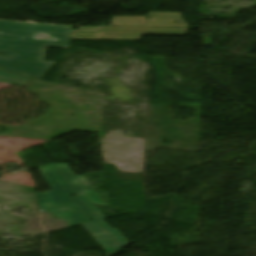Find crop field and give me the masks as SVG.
Returning a JSON list of instances; mask_svg holds the SVG:
<instances>
[{
  "mask_svg": "<svg viewBox=\"0 0 256 256\" xmlns=\"http://www.w3.org/2000/svg\"><path fill=\"white\" fill-rule=\"evenodd\" d=\"M110 26L188 27L181 13L166 12H150L148 17H113Z\"/></svg>",
  "mask_w": 256,
  "mask_h": 256,
  "instance_id": "obj_4",
  "label": "crop field"
},
{
  "mask_svg": "<svg viewBox=\"0 0 256 256\" xmlns=\"http://www.w3.org/2000/svg\"><path fill=\"white\" fill-rule=\"evenodd\" d=\"M28 80H29L28 77L10 75V74L0 72V82H3V83L24 87L25 84L28 82Z\"/></svg>",
  "mask_w": 256,
  "mask_h": 256,
  "instance_id": "obj_6",
  "label": "crop field"
},
{
  "mask_svg": "<svg viewBox=\"0 0 256 256\" xmlns=\"http://www.w3.org/2000/svg\"><path fill=\"white\" fill-rule=\"evenodd\" d=\"M71 39L140 40L141 35H186L187 28L79 27Z\"/></svg>",
  "mask_w": 256,
  "mask_h": 256,
  "instance_id": "obj_3",
  "label": "crop field"
},
{
  "mask_svg": "<svg viewBox=\"0 0 256 256\" xmlns=\"http://www.w3.org/2000/svg\"><path fill=\"white\" fill-rule=\"evenodd\" d=\"M35 32L56 41L35 40ZM72 28L0 22V70L41 78L54 62L44 61L46 47L67 48ZM36 33V34H37Z\"/></svg>",
  "mask_w": 256,
  "mask_h": 256,
  "instance_id": "obj_1",
  "label": "crop field"
},
{
  "mask_svg": "<svg viewBox=\"0 0 256 256\" xmlns=\"http://www.w3.org/2000/svg\"><path fill=\"white\" fill-rule=\"evenodd\" d=\"M35 38H36V39H46V40H52V39H49V38H47V37H44V36H42V35H39V34H36Z\"/></svg>",
  "mask_w": 256,
  "mask_h": 256,
  "instance_id": "obj_7",
  "label": "crop field"
},
{
  "mask_svg": "<svg viewBox=\"0 0 256 256\" xmlns=\"http://www.w3.org/2000/svg\"><path fill=\"white\" fill-rule=\"evenodd\" d=\"M75 191L77 196L72 197L79 206L93 220L105 217L93 203L105 204L94 189L78 192L77 190L88 189V184L83 175L75 176L67 164H56ZM39 170L46 178L53 190L38 194V202L41 209L52 212L58 218L67 220L71 226L90 222V219L68 198L74 195V191L60 174L54 164L40 167Z\"/></svg>",
  "mask_w": 256,
  "mask_h": 256,
  "instance_id": "obj_2",
  "label": "crop field"
},
{
  "mask_svg": "<svg viewBox=\"0 0 256 256\" xmlns=\"http://www.w3.org/2000/svg\"><path fill=\"white\" fill-rule=\"evenodd\" d=\"M96 222H99L121 246L119 247ZM83 226L109 255L128 243L117 230L111 229L103 220L83 224Z\"/></svg>",
  "mask_w": 256,
  "mask_h": 256,
  "instance_id": "obj_5",
  "label": "crop field"
}]
</instances>
